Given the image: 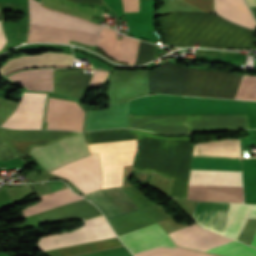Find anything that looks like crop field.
Segmentation results:
<instances>
[{"mask_svg":"<svg viewBox=\"0 0 256 256\" xmlns=\"http://www.w3.org/2000/svg\"><path fill=\"white\" fill-rule=\"evenodd\" d=\"M87 142L138 138L134 169L174 179L169 198H186L193 145L186 137H164L132 129L84 132Z\"/></svg>","mask_w":256,"mask_h":256,"instance_id":"crop-field-1","label":"crop field"},{"mask_svg":"<svg viewBox=\"0 0 256 256\" xmlns=\"http://www.w3.org/2000/svg\"><path fill=\"white\" fill-rule=\"evenodd\" d=\"M169 45H200L226 48H255L254 31L228 22L215 14L174 12L159 19ZM256 32V31H255Z\"/></svg>","mask_w":256,"mask_h":256,"instance_id":"crop-field-2","label":"crop field"},{"mask_svg":"<svg viewBox=\"0 0 256 256\" xmlns=\"http://www.w3.org/2000/svg\"><path fill=\"white\" fill-rule=\"evenodd\" d=\"M28 42H64L74 40L95 45L101 29L79 17L45 8L35 0H29Z\"/></svg>","mask_w":256,"mask_h":256,"instance_id":"crop-field-3","label":"crop field"},{"mask_svg":"<svg viewBox=\"0 0 256 256\" xmlns=\"http://www.w3.org/2000/svg\"><path fill=\"white\" fill-rule=\"evenodd\" d=\"M236 76L189 68L184 95L228 98ZM229 98L256 101V77L238 75Z\"/></svg>","mask_w":256,"mask_h":256,"instance_id":"crop-field-4","label":"crop field"},{"mask_svg":"<svg viewBox=\"0 0 256 256\" xmlns=\"http://www.w3.org/2000/svg\"><path fill=\"white\" fill-rule=\"evenodd\" d=\"M228 203L195 201L191 217L222 234ZM256 217V204L229 203L223 234L236 239L247 218Z\"/></svg>","mask_w":256,"mask_h":256,"instance_id":"crop-field-5","label":"crop field"},{"mask_svg":"<svg viewBox=\"0 0 256 256\" xmlns=\"http://www.w3.org/2000/svg\"><path fill=\"white\" fill-rule=\"evenodd\" d=\"M189 185L243 187L241 172L191 170ZM189 186L187 198L244 202L243 188Z\"/></svg>","mask_w":256,"mask_h":256,"instance_id":"crop-field-6","label":"crop field"},{"mask_svg":"<svg viewBox=\"0 0 256 256\" xmlns=\"http://www.w3.org/2000/svg\"><path fill=\"white\" fill-rule=\"evenodd\" d=\"M169 236L176 245L200 251L232 241L195 224L169 233ZM205 252L225 256H256V249L235 241L205 250Z\"/></svg>","mask_w":256,"mask_h":256,"instance_id":"crop-field-7","label":"crop field"},{"mask_svg":"<svg viewBox=\"0 0 256 256\" xmlns=\"http://www.w3.org/2000/svg\"><path fill=\"white\" fill-rule=\"evenodd\" d=\"M83 132L55 141L47 146H35L31 155L48 171L71 160L89 155Z\"/></svg>","mask_w":256,"mask_h":256,"instance_id":"crop-field-8","label":"crop field"},{"mask_svg":"<svg viewBox=\"0 0 256 256\" xmlns=\"http://www.w3.org/2000/svg\"><path fill=\"white\" fill-rule=\"evenodd\" d=\"M84 225L71 231L45 236L37 239L36 246L40 251L81 244L94 240L116 237L110 230L103 215L83 221Z\"/></svg>","mask_w":256,"mask_h":256,"instance_id":"crop-field-9","label":"crop field"},{"mask_svg":"<svg viewBox=\"0 0 256 256\" xmlns=\"http://www.w3.org/2000/svg\"><path fill=\"white\" fill-rule=\"evenodd\" d=\"M50 173L70 180L84 193L97 190L101 185L97 154L68 163Z\"/></svg>","mask_w":256,"mask_h":256,"instance_id":"crop-field-10","label":"crop field"},{"mask_svg":"<svg viewBox=\"0 0 256 256\" xmlns=\"http://www.w3.org/2000/svg\"><path fill=\"white\" fill-rule=\"evenodd\" d=\"M188 68L169 62L147 71L149 91L183 95Z\"/></svg>","mask_w":256,"mask_h":256,"instance_id":"crop-field-11","label":"crop field"},{"mask_svg":"<svg viewBox=\"0 0 256 256\" xmlns=\"http://www.w3.org/2000/svg\"><path fill=\"white\" fill-rule=\"evenodd\" d=\"M45 94L22 93L14 113L2 124L7 128L40 129Z\"/></svg>","mask_w":256,"mask_h":256,"instance_id":"crop-field-12","label":"crop field"},{"mask_svg":"<svg viewBox=\"0 0 256 256\" xmlns=\"http://www.w3.org/2000/svg\"><path fill=\"white\" fill-rule=\"evenodd\" d=\"M84 110L77 104L49 96L47 128L82 131Z\"/></svg>","mask_w":256,"mask_h":256,"instance_id":"crop-field-13","label":"crop field"},{"mask_svg":"<svg viewBox=\"0 0 256 256\" xmlns=\"http://www.w3.org/2000/svg\"><path fill=\"white\" fill-rule=\"evenodd\" d=\"M1 129V128H0ZM7 143L18 156L28 154L33 145H45L75 132L54 130H6L1 129Z\"/></svg>","mask_w":256,"mask_h":256,"instance_id":"crop-field-14","label":"crop field"},{"mask_svg":"<svg viewBox=\"0 0 256 256\" xmlns=\"http://www.w3.org/2000/svg\"><path fill=\"white\" fill-rule=\"evenodd\" d=\"M119 238L133 254L155 247H176L168 234L157 223L129 232Z\"/></svg>","mask_w":256,"mask_h":256,"instance_id":"crop-field-15","label":"crop field"},{"mask_svg":"<svg viewBox=\"0 0 256 256\" xmlns=\"http://www.w3.org/2000/svg\"><path fill=\"white\" fill-rule=\"evenodd\" d=\"M85 198L101 209L107 220L138 210L120 188H110L89 193Z\"/></svg>","mask_w":256,"mask_h":256,"instance_id":"crop-field-16","label":"crop field"},{"mask_svg":"<svg viewBox=\"0 0 256 256\" xmlns=\"http://www.w3.org/2000/svg\"><path fill=\"white\" fill-rule=\"evenodd\" d=\"M116 31L103 27L100 33L98 46L103 48L107 54L117 60L135 64L138 40L123 36L122 40L115 39ZM117 35V34H116Z\"/></svg>","mask_w":256,"mask_h":256,"instance_id":"crop-field-17","label":"crop field"},{"mask_svg":"<svg viewBox=\"0 0 256 256\" xmlns=\"http://www.w3.org/2000/svg\"><path fill=\"white\" fill-rule=\"evenodd\" d=\"M128 102L113 105L109 110L88 111L85 131L127 127Z\"/></svg>","mask_w":256,"mask_h":256,"instance_id":"crop-field-18","label":"crop field"},{"mask_svg":"<svg viewBox=\"0 0 256 256\" xmlns=\"http://www.w3.org/2000/svg\"><path fill=\"white\" fill-rule=\"evenodd\" d=\"M92 76L81 74L78 69H55V92L82 98Z\"/></svg>","mask_w":256,"mask_h":256,"instance_id":"crop-field-19","label":"crop field"},{"mask_svg":"<svg viewBox=\"0 0 256 256\" xmlns=\"http://www.w3.org/2000/svg\"><path fill=\"white\" fill-rule=\"evenodd\" d=\"M37 215L43 221L59 220L66 218H81L83 220L101 215L99 210L88 201L81 200L51 210H47Z\"/></svg>","mask_w":256,"mask_h":256,"instance_id":"crop-field-20","label":"crop field"},{"mask_svg":"<svg viewBox=\"0 0 256 256\" xmlns=\"http://www.w3.org/2000/svg\"><path fill=\"white\" fill-rule=\"evenodd\" d=\"M215 12L245 27L254 28L256 23L243 0H214Z\"/></svg>","mask_w":256,"mask_h":256,"instance_id":"crop-field-21","label":"crop field"},{"mask_svg":"<svg viewBox=\"0 0 256 256\" xmlns=\"http://www.w3.org/2000/svg\"><path fill=\"white\" fill-rule=\"evenodd\" d=\"M52 70H26L12 74L8 78L24 85L27 90L53 91Z\"/></svg>","mask_w":256,"mask_h":256,"instance_id":"crop-field-22","label":"crop field"},{"mask_svg":"<svg viewBox=\"0 0 256 256\" xmlns=\"http://www.w3.org/2000/svg\"><path fill=\"white\" fill-rule=\"evenodd\" d=\"M74 196H77V195L72 193L70 191V189L65 185V186L53 191L52 193L42 197L43 199L40 200L38 203H36L34 205H31L29 207L23 208V209H21V211L23 213V212L33 210V209H36V208H39V207H42V206H45V205H48V204H52V203H55V202H58V201H61V200L67 199V198H71V197H74ZM80 199H83V198L77 196V197L67 199V200L52 204V205H48V206H45V207H42V208H39V209H36V210H33V211L23 213L22 216L24 217V216H27V215H31V214H34V213H37V212H40V211H44V210L54 208V207H57V206H60V205H64V204H67V203H70V202H73V201H77V200H80Z\"/></svg>","mask_w":256,"mask_h":256,"instance_id":"crop-field-23","label":"crop field"},{"mask_svg":"<svg viewBox=\"0 0 256 256\" xmlns=\"http://www.w3.org/2000/svg\"><path fill=\"white\" fill-rule=\"evenodd\" d=\"M116 245H121V243L117 238H114V239L102 240V241H97V242L73 246V247L61 248L58 250L62 254V256H65V255H70V254H75V253H80V252H85L90 250L116 246Z\"/></svg>","mask_w":256,"mask_h":256,"instance_id":"crop-field-24","label":"crop field"},{"mask_svg":"<svg viewBox=\"0 0 256 256\" xmlns=\"http://www.w3.org/2000/svg\"><path fill=\"white\" fill-rule=\"evenodd\" d=\"M154 47L155 45L140 41L136 64H142L152 60Z\"/></svg>","mask_w":256,"mask_h":256,"instance_id":"crop-field-25","label":"crop field"},{"mask_svg":"<svg viewBox=\"0 0 256 256\" xmlns=\"http://www.w3.org/2000/svg\"><path fill=\"white\" fill-rule=\"evenodd\" d=\"M16 156V153L6 144L0 133V160Z\"/></svg>","mask_w":256,"mask_h":256,"instance_id":"crop-field-26","label":"crop field"},{"mask_svg":"<svg viewBox=\"0 0 256 256\" xmlns=\"http://www.w3.org/2000/svg\"><path fill=\"white\" fill-rule=\"evenodd\" d=\"M203 11H212L211 0H184Z\"/></svg>","mask_w":256,"mask_h":256,"instance_id":"crop-field-27","label":"crop field"},{"mask_svg":"<svg viewBox=\"0 0 256 256\" xmlns=\"http://www.w3.org/2000/svg\"><path fill=\"white\" fill-rule=\"evenodd\" d=\"M138 2L139 0H123L124 11L125 12L138 11Z\"/></svg>","mask_w":256,"mask_h":256,"instance_id":"crop-field-28","label":"crop field"},{"mask_svg":"<svg viewBox=\"0 0 256 256\" xmlns=\"http://www.w3.org/2000/svg\"><path fill=\"white\" fill-rule=\"evenodd\" d=\"M0 21H4L2 15H1V12H0ZM0 31H2V24H1V22H0ZM6 42H7V40H6L3 32H0V50L5 45Z\"/></svg>","mask_w":256,"mask_h":256,"instance_id":"crop-field-29","label":"crop field"},{"mask_svg":"<svg viewBox=\"0 0 256 256\" xmlns=\"http://www.w3.org/2000/svg\"><path fill=\"white\" fill-rule=\"evenodd\" d=\"M247 4L249 7H254L256 6V0H246Z\"/></svg>","mask_w":256,"mask_h":256,"instance_id":"crop-field-30","label":"crop field"},{"mask_svg":"<svg viewBox=\"0 0 256 256\" xmlns=\"http://www.w3.org/2000/svg\"><path fill=\"white\" fill-rule=\"evenodd\" d=\"M250 245L253 246V247H256V233H255Z\"/></svg>","mask_w":256,"mask_h":256,"instance_id":"crop-field-31","label":"crop field"}]
</instances>
